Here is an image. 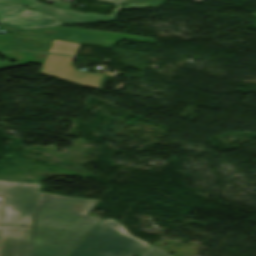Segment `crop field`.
I'll use <instances>...</instances> for the list:
<instances>
[{
    "mask_svg": "<svg viewBox=\"0 0 256 256\" xmlns=\"http://www.w3.org/2000/svg\"><path fill=\"white\" fill-rule=\"evenodd\" d=\"M96 202L39 192L26 256H66L100 221Z\"/></svg>",
    "mask_w": 256,
    "mask_h": 256,
    "instance_id": "obj_1",
    "label": "crop field"
},
{
    "mask_svg": "<svg viewBox=\"0 0 256 256\" xmlns=\"http://www.w3.org/2000/svg\"><path fill=\"white\" fill-rule=\"evenodd\" d=\"M150 246L132 236L117 220L105 219L101 220L68 255L135 256Z\"/></svg>",
    "mask_w": 256,
    "mask_h": 256,
    "instance_id": "obj_2",
    "label": "crop field"
},
{
    "mask_svg": "<svg viewBox=\"0 0 256 256\" xmlns=\"http://www.w3.org/2000/svg\"><path fill=\"white\" fill-rule=\"evenodd\" d=\"M40 185L0 180V196H5L0 225L31 228Z\"/></svg>",
    "mask_w": 256,
    "mask_h": 256,
    "instance_id": "obj_3",
    "label": "crop field"
},
{
    "mask_svg": "<svg viewBox=\"0 0 256 256\" xmlns=\"http://www.w3.org/2000/svg\"><path fill=\"white\" fill-rule=\"evenodd\" d=\"M21 33L109 47L115 46L122 40L155 44V39L152 38L120 35L66 27L27 30L22 31Z\"/></svg>",
    "mask_w": 256,
    "mask_h": 256,
    "instance_id": "obj_4",
    "label": "crop field"
},
{
    "mask_svg": "<svg viewBox=\"0 0 256 256\" xmlns=\"http://www.w3.org/2000/svg\"><path fill=\"white\" fill-rule=\"evenodd\" d=\"M74 58L47 54L40 73L71 83L100 89L103 75L76 70L72 61Z\"/></svg>",
    "mask_w": 256,
    "mask_h": 256,
    "instance_id": "obj_5",
    "label": "crop field"
},
{
    "mask_svg": "<svg viewBox=\"0 0 256 256\" xmlns=\"http://www.w3.org/2000/svg\"><path fill=\"white\" fill-rule=\"evenodd\" d=\"M0 23L19 29H32L62 24L43 13L4 1H0Z\"/></svg>",
    "mask_w": 256,
    "mask_h": 256,
    "instance_id": "obj_6",
    "label": "crop field"
},
{
    "mask_svg": "<svg viewBox=\"0 0 256 256\" xmlns=\"http://www.w3.org/2000/svg\"><path fill=\"white\" fill-rule=\"evenodd\" d=\"M5 1L27 6L30 8H35L67 24L110 21L115 19L119 10V9H115L113 13L110 14V16H105V15H100L95 13L85 14V13H79V12H73V11H66L63 9H55L50 5L37 3L38 0H5Z\"/></svg>",
    "mask_w": 256,
    "mask_h": 256,
    "instance_id": "obj_7",
    "label": "crop field"
},
{
    "mask_svg": "<svg viewBox=\"0 0 256 256\" xmlns=\"http://www.w3.org/2000/svg\"><path fill=\"white\" fill-rule=\"evenodd\" d=\"M51 41L14 34H0V52L7 50L46 52Z\"/></svg>",
    "mask_w": 256,
    "mask_h": 256,
    "instance_id": "obj_8",
    "label": "crop field"
},
{
    "mask_svg": "<svg viewBox=\"0 0 256 256\" xmlns=\"http://www.w3.org/2000/svg\"><path fill=\"white\" fill-rule=\"evenodd\" d=\"M31 229L6 227L0 256H25Z\"/></svg>",
    "mask_w": 256,
    "mask_h": 256,
    "instance_id": "obj_9",
    "label": "crop field"
},
{
    "mask_svg": "<svg viewBox=\"0 0 256 256\" xmlns=\"http://www.w3.org/2000/svg\"><path fill=\"white\" fill-rule=\"evenodd\" d=\"M9 60H16L15 64H10L8 61L0 62V69L14 66L27 65L31 63H42L46 54L32 52H7L2 53Z\"/></svg>",
    "mask_w": 256,
    "mask_h": 256,
    "instance_id": "obj_10",
    "label": "crop field"
},
{
    "mask_svg": "<svg viewBox=\"0 0 256 256\" xmlns=\"http://www.w3.org/2000/svg\"><path fill=\"white\" fill-rule=\"evenodd\" d=\"M80 44L53 40L48 52L75 56Z\"/></svg>",
    "mask_w": 256,
    "mask_h": 256,
    "instance_id": "obj_11",
    "label": "crop field"
},
{
    "mask_svg": "<svg viewBox=\"0 0 256 256\" xmlns=\"http://www.w3.org/2000/svg\"><path fill=\"white\" fill-rule=\"evenodd\" d=\"M139 256H169L164 251H162L160 248L152 245L148 250L143 252Z\"/></svg>",
    "mask_w": 256,
    "mask_h": 256,
    "instance_id": "obj_12",
    "label": "crop field"
},
{
    "mask_svg": "<svg viewBox=\"0 0 256 256\" xmlns=\"http://www.w3.org/2000/svg\"><path fill=\"white\" fill-rule=\"evenodd\" d=\"M100 1L114 3L117 8H120L122 3L124 2V0H100ZM195 1L201 2V0H195Z\"/></svg>",
    "mask_w": 256,
    "mask_h": 256,
    "instance_id": "obj_13",
    "label": "crop field"
},
{
    "mask_svg": "<svg viewBox=\"0 0 256 256\" xmlns=\"http://www.w3.org/2000/svg\"><path fill=\"white\" fill-rule=\"evenodd\" d=\"M1 28H3V30L8 31V32H13V33H18L19 30H15V29H11L8 27H4V26H0Z\"/></svg>",
    "mask_w": 256,
    "mask_h": 256,
    "instance_id": "obj_14",
    "label": "crop field"
},
{
    "mask_svg": "<svg viewBox=\"0 0 256 256\" xmlns=\"http://www.w3.org/2000/svg\"><path fill=\"white\" fill-rule=\"evenodd\" d=\"M1 202H2V198H0V208H1ZM2 230H3V227L0 226V241L2 236Z\"/></svg>",
    "mask_w": 256,
    "mask_h": 256,
    "instance_id": "obj_15",
    "label": "crop field"
}]
</instances>
